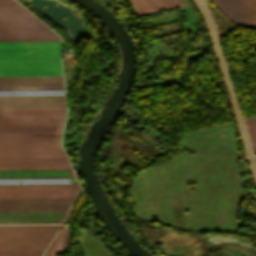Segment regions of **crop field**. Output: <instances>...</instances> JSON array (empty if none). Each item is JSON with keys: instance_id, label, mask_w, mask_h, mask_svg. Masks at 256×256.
<instances>
[{"instance_id": "crop-field-1", "label": "crop field", "mask_w": 256, "mask_h": 256, "mask_svg": "<svg viewBox=\"0 0 256 256\" xmlns=\"http://www.w3.org/2000/svg\"><path fill=\"white\" fill-rule=\"evenodd\" d=\"M0 76H62L60 42L0 43Z\"/></svg>"}, {"instance_id": "crop-field-2", "label": "crop field", "mask_w": 256, "mask_h": 256, "mask_svg": "<svg viewBox=\"0 0 256 256\" xmlns=\"http://www.w3.org/2000/svg\"><path fill=\"white\" fill-rule=\"evenodd\" d=\"M65 109L0 110V134H60Z\"/></svg>"}, {"instance_id": "crop-field-3", "label": "crop field", "mask_w": 256, "mask_h": 256, "mask_svg": "<svg viewBox=\"0 0 256 256\" xmlns=\"http://www.w3.org/2000/svg\"><path fill=\"white\" fill-rule=\"evenodd\" d=\"M60 225L0 226V256L41 255Z\"/></svg>"}, {"instance_id": "crop-field-4", "label": "crop field", "mask_w": 256, "mask_h": 256, "mask_svg": "<svg viewBox=\"0 0 256 256\" xmlns=\"http://www.w3.org/2000/svg\"><path fill=\"white\" fill-rule=\"evenodd\" d=\"M58 36L16 1H0V37Z\"/></svg>"}, {"instance_id": "crop-field-5", "label": "crop field", "mask_w": 256, "mask_h": 256, "mask_svg": "<svg viewBox=\"0 0 256 256\" xmlns=\"http://www.w3.org/2000/svg\"><path fill=\"white\" fill-rule=\"evenodd\" d=\"M78 185L0 186V198L74 197Z\"/></svg>"}, {"instance_id": "crop-field-6", "label": "crop field", "mask_w": 256, "mask_h": 256, "mask_svg": "<svg viewBox=\"0 0 256 256\" xmlns=\"http://www.w3.org/2000/svg\"><path fill=\"white\" fill-rule=\"evenodd\" d=\"M74 198L0 199V211L68 210Z\"/></svg>"}, {"instance_id": "crop-field-7", "label": "crop field", "mask_w": 256, "mask_h": 256, "mask_svg": "<svg viewBox=\"0 0 256 256\" xmlns=\"http://www.w3.org/2000/svg\"><path fill=\"white\" fill-rule=\"evenodd\" d=\"M72 168L66 156L0 157V169Z\"/></svg>"}, {"instance_id": "crop-field-8", "label": "crop field", "mask_w": 256, "mask_h": 256, "mask_svg": "<svg viewBox=\"0 0 256 256\" xmlns=\"http://www.w3.org/2000/svg\"><path fill=\"white\" fill-rule=\"evenodd\" d=\"M65 96L0 97V109L65 108Z\"/></svg>"}, {"instance_id": "crop-field-9", "label": "crop field", "mask_w": 256, "mask_h": 256, "mask_svg": "<svg viewBox=\"0 0 256 256\" xmlns=\"http://www.w3.org/2000/svg\"><path fill=\"white\" fill-rule=\"evenodd\" d=\"M68 211L0 212V224L62 223Z\"/></svg>"}, {"instance_id": "crop-field-10", "label": "crop field", "mask_w": 256, "mask_h": 256, "mask_svg": "<svg viewBox=\"0 0 256 256\" xmlns=\"http://www.w3.org/2000/svg\"><path fill=\"white\" fill-rule=\"evenodd\" d=\"M64 89L62 77H0V90Z\"/></svg>"}, {"instance_id": "crop-field-11", "label": "crop field", "mask_w": 256, "mask_h": 256, "mask_svg": "<svg viewBox=\"0 0 256 256\" xmlns=\"http://www.w3.org/2000/svg\"><path fill=\"white\" fill-rule=\"evenodd\" d=\"M65 155L60 143L0 144V156Z\"/></svg>"}, {"instance_id": "crop-field-12", "label": "crop field", "mask_w": 256, "mask_h": 256, "mask_svg": "<svg viewBox=\"0 0 256 256\" xmlns=\"http://www.w3.org/2000/svg\"><path fill=\"white\" fill-rule=\"evenodd\" d=\"M0 178H75L71 169L0 170Z\"/></svg>"}, {"instance_id": "crop-field-13", "label": "crop field", "mask_w": 256, "mask_h": 256, "mask_svg": "<svg viewBox=\"0 0 256 256\" xmlns=\"http://www.w3.org/2000/svg\"><path fill=\"white\" fill-rule=\"evenodd\" d=\"M69 225L65 224L43 256H55L67 247Z\"/></svg>"}, {"instance_id": "crop-field-14", "label": "crop field", "mask_w": 256, "mask_h": 256, "mask_svg": "<svg viewBox=\"0 0 256 256\" xmlns=\"http://www.w3.org/2000/svg\"><path fill=\"white\" fill-rule=\"evenodd\" d=\"M12 142H59V137H13L0 138V143Z\"/></svg>"}, {"instance_id": "crop-field-15", "label": "crop field", "mask_w": 256, "mask_h": 256, "mask_svg": "<svg viewBox=\"0 0 256 256\" xmlns=\"http://www.w3.org/2000/svg\"><path fill=\"white\" fill-rule=\"evenodd\" d=\"M12 41H61L60 37H12V38H0V42H12Z\"/></svg>"}, {"instance_id": "crop-field-16", "label": "crop field", "mask_w": 256, "mask_h": 256, "mask_svg": "<svg viewBox=\"0 0 256 256\" xmlns=\"http://www.w3.org/2000/svg\"><path fill=\"white\" fill-rule=\"evenodd\" d=\"M13 136H60V135H0V137H13Z\"/></svg>"}]
</instances>
